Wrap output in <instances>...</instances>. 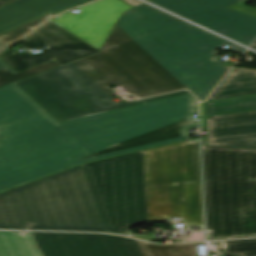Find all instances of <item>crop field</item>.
Returning <instances> with one entry per match:
<instances>
[{"label": "crop field", "mask_w": 256, "mask_h": 256, "mask_svg": "<svg viewBox=\"0 0 256 256\" xmlns=\"http://www.w3.org/2000/svg\"><path fill=\"white\" fill-rule=\"evenodd\" d=\"M184 217L203 227L198 139L77 166L0 193V228L109 231Z\"/></svg>", "instance_id": "obj_1"}, {"label": "crop field", "mask_w": 256, "mask_h": 256, "mask_svg": "<svg viewBox=\"0 0 256 256\" xmlns=\"http://www.w3.org/2000/svg\"><path fill=\"white\" fill-rule=\"evenodd\" d=\"M15 84L58 121L189 93L117 104L110 85L122 84L140 98L186 88L135 40Z\"/></svg>", "instance_id": "obj_2"}, {"label": "crop field", "mask_w": 256, "mask_h": 256, "mask_svg": "<svg viewBox=\"0 0 256 256\" xmlns=\"http://www.w3.org/2000/svg\"><path fill=\"white\" fill-rule=\"evenodd\" d=\"M133 39L200 101L230 69L218 61L216 49L228 45V51L245 50L146 4L123 13L100 51Z\"/></svg>", "instance_id": "obj_3"}, {"label": "crop field", "mask_w": 256, "mask_h": 256, "mask_svg": "<svg viewBox=\"0 0 256 256\" xmlns=\"http://www.w3.org/2000/svg\"><path fill=\"white\" fill-rule=\"evenodd\" d=\"M196 108L188 94L59 123L103 159L188 139Z\"/></svg>", "instance_id": "obj_4"}, {"label": "crop field", "mask_w": 256, "mask_h": 256, "mask_svg": "<svg viewBox=\"0 0 256 256\" xmlns=\"http://www.w3.org/2000/svg\"><path fill=\"white\" fill-rule=\"evenodd\" d=\"M207 239L256 236V149L206 146Z\"/></svg>", "instance_id": "obj_5"}, {"label": "crop field", "mask_w": 256, "mask_h": 256, "mask_svg": "<svg viewBox=\"0 0 256 256\" xmlns=\"http://www.w3.org/2000/svg\"><path fill=\"white\" fill-rule=\"evenodd\" d=\"M98 159L50 115L37 116L0 129V192Z\"/></svg>", "instance_id": "obj_6"}, {"label": "crop field", "mask_w": 256, "mask_h": 256, "mask_svg": "<svg viewBox=\"0 0 256 256\" xmlns=\"http://www.w3.org/2000/svg\"><path fill=\"white\" fill-rule=\"evenodd\" d=\"M0 256H197L196 243L154 245L109 234L0 231Z\"/></svg>", "instance_id": "obj_7"}, {"label": "crop field", "mask_w": 256, "mask_h": 256, "mask_svg": "<svg viewBox=\"0 0 256 256\" xmlns=\"http://www.w3.org/2000/svg\"><path fill=\"white\" fill-rule=\"evenodd\" d=\"M151 1L246 45L256 38V17L226 7L243 0Z\"/></svg>", "instance_id": "obj_8"}, {"label": "crop field", "mask_w": 256, "mask_h": 256, "mask_svg": "<svg viewBox=\"0 0 256 256\" xmlns=\"http://www.w3.org/2000/svg\"><path fill=\"white\" fill-rule=\"evenodd\" d=\"M23 40L30 49L43 48L44 50L33 56L28 54L20 55L11 51L2 53L0 59L11 66L15 71H21L48 62L52 57L62 65L98 52V50L92 46L51 21L47 22ZM46 46L49 48L46 49Z\"/></svg>", "instance_id": "obj_9"}, {"label": "crop field", "mask_w": 256, "mask_h": 256, "mask_svg": "<svg viewBox=\"0 0 256 256\" xmlns=\"http://www.w3.org/2000/svg\"><path fill=\"white\" fill-rule=\"evenodd\" d=\"M132 8L121 0H96L77 7L79 14L68 11L51 21L99 50L122 13Z\"/></svg>", "instance_id": "obj_10"}, {"label": "crop field", "mask_w": 256, "mask_h": 256, "mask_svg": "<svg viewBox=\"0 0 256 256\" xmlns=\"http://www.w3.org/2000/svg\"><path fill=\"white\" fill-rule=\"evenodd\" d=\"M207 145L256 148V111L207 117Z\"/></svg>", "instance_id": "obj_11"}, {"label": "crop field", "mask_w": 256, "mask_h": 256, "mask_svg": "<svg viewBox=\"0 0 256 256\" xmlns=\"http://www.w3.org/2000/svg\"><path fill=\"white\" fill-rule=\"evenodd\" d=\"M89 0H16L0 8V33L48 11L59 12Z\"/></svg>", "instance_id": "obj_12"}, {"label": "crop field", "mask_w": 256, "mask_h": 256, "mask_svg": "<svg viewBox=\"0 0 256 256\" xmlns=\"http://www.w3.org/2000/svg\"><path fill=\"white\" fill-rule=\"evenodd\" d=\"M45 113L14 83L0 87V128Z\"/></svg>", "instance_id": "obj_13"}, {"label": "crop field", "mask_w": 256, "mask_h": 256, "mask_svg": "<svg viewBox=\"0 0 256 256\" xmlns=\"http://www.w3.org/2000/svg\"><path fill=\"white\" fill-rule=\"evenodd\" d=\"M248 95H256V69L234 67L208 101Z\"/></svg>", "instance_id": "obj_14"}, {"label": "crop field", "mask_w": 256, "mask_h": 256, "mask_svg": "<svg viewBox=\"0 0 256 256\" xmlns=\"http://www.w3.org/2000/svg\"><path fill=\"white\" fill-rule=\"evenodd\" d=\"M207 116L255 111L256 96L227 99L206 103Z\"/></svg>", "instance_id": "obj_15"}, {"label": "crop field", "mask_w": 256, "mask_h": 256, "mask_svg": "<svg viewBox=\"0 0 256 256\" xmlns=\"http://www.w3.org/2000/svg\"><path fill=\"white\" fill-rule=\"evenodd\" d=\"M57 66H59V64L53 60L21 72H15L12 68L0 60V86L24 79Z\"/></svg>", "instance_id": "obj_16"}, {"label": "crop field", "mask_w": 256, "mask_h": 256, "mask_svg": "<svg viewBox=\"0 0 256 256\" xmlns=\"http://www.w3.org/2000/svg\"><path fill=\"white\" fill-rule=\"evenodd\" d=\"M54 13H50L46 16H43L41 18L35 19L33 21H30L4 35L0 36V53L7 49L9 46H11L13 43H15L20 38L27 35L29 32L49 20L51 17H53ZM18 42V41H17Z\"/></svg>", "instance_id": "obj_17"}, {"label": "crop field", "mask_w": 256, "mask_h": 256, "mask_svg": "<svg viewBox=\"0 0 256 256\" xmlns=\"http://www.w3.org/2000/svg\"><path fill=\"white\" fill-rule=\"evenodd\" d=\"M211 243H221L223 254L228 256H256V239Z\"/></svg>", "instance_id": "obj_18"}, {"label": "crop field", "mask_w": 256, "mask_h": 256, "mask_svg": "<svg viewBox=\"0 0 256 256\" xmlns=\"http://www.w3.org/2000/svg\"><path fill=\"white\" fill-rule=\"evenodd\" d=\"M248 1L250 0H246L228 7L256 16V8L245 5Z\"/></svg>", "instance_id": "obj_19"}, {"label": "crop field", "mask_w": 256, "mask_h": 256, "mask_svg": "<svg viewBox=\"0 0 256 256\" xmlns=\"http://www.w3.org/2000/svg\"><path fill=\"white\" fill-rule=\"evenodd\" d=\"M204 240V232L191 233V236L185 237V241Z\"/></svg>", "instance_id": "obj_20"}, {"label": "crop field", "mask_w": 256, "mask_h": 256, "mask_svg": "<svg viewBox=\"0 0 256 256\" xmlns=\"http://www.w3.org/2000/svg\"><path fill=\"white\" fill-rule=\"evenodd\" d=\"M124 1L128 2L129 4H131V5H133V6H135V5L139 4V3H141V2H139V1H137V0H124Z\"/></svg>", "instance_id": "obj_21"}, {"label": "crop field", "mask_w": 256, "mask_h": 256, "mask_svg": "<svg viewBox=\"0 0 256 256\" xmlns=\"http://www.w3.org/2000/svg\"><path fill=\"white\" fill-rule=\"evenodd\" d=\"M10 1H12V0H8V1H1V0H0V5L5 4V3H7V2H10Z\"/></svg>", "instance_id": "obj_22"}, {"label": "crop field", "mask_w": 256, "mask_h": 256, "mask_svg": "<svg viewBox=\"0 0 256 256\" xmlns=\"http://www.w3.org/2000/svg\"><path fill=\"white\" fill-rule=\"evenodd\" d=\"M252 47L256 49V42L252 45Z\"/></svg>", "instance_id": "obj_23"}]
</instances>
